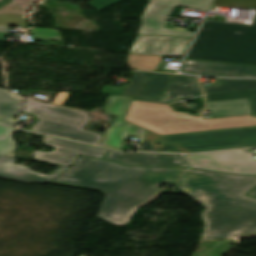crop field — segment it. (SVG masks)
<instances>
[{"label":"crop field","mask_w":256,"mask_h":256,"mask_svg":"<svg viewBox=\"0 0 256 256\" xmlns=\"http://www.w3.org/2000/svg\"><path fill=\"white\" fill-rule=\"evenodd\" d=\"M207 101L250 97L253 116L256 117V90L205 95Z\"/></svg>","instance_id":"obj_24"},{"label":"crop field","mask_w":256,"mask_h":256,"mask_svg":"<svg viewBox=\"0 0 256 256\" xmlns=\"http://www.w3.org/2000/svg\"><path fill=\"white\" fill-rule=\"evenodd\" d=\"M213 6L256 8V0H216Z\"/></svg>","instance_id":"obj_25"},{"label":"crop field","mask_w":256,"mask_h":256,"mask_svg":"<svg viewBox=\"0 0 256 256\" xmlns=\"http://www.w3.org/2000/svg\"><path fill=\"white\" fill-rule=\"evenodd\" d=\"M202 91L196 77L173 75L162 98L134 97L136 100L169 103L179 99L201 95Z\"/></svg>","instance_id":"obj_15"},{"label":"crop field","mask_w":256,"mask_h":256,"mask_svg":"<svg viewBox=\"0 0 256 256\" xmlns=\"http://www.w3.org/2000/svg\"><path fill=\"white\" fill-rule=\"evenodd\" d=\"M189 114L173 111L168 104L133 100L125 120L160 135L256 126L252 115L201 120Z\"/></svg>","instance_id":"obj_3"},{"label":"crop field","mask_w":256,"mask_h":256,"mask_svg":"<svg viewBox=\"0 0 256 256\" xmlns=\"http://www.w3.org/2000/svg\"><path fill=\"white\" fill-rule=\"evenodd\" d=\"M0 31H8V26H0Z\"/></svg>","instance_id":"obj_33"},{"label":"crop field","mask_w":256,"mask_h":256,"mask_svg":"<svg viewBox=\"0 0 256 256\" xmlns=\"http://www.w3.org/2000/svg\"><path fill=\"white\" fill-rule=\"evenodd\" d=\"M240 145L256 147V127L168 136L146 130L141 151L201 152L231 149Z\"/></svg>","instance_id":"obj_4"},{"label":"crop field","mask_w":256,"mask_h":256,"mask_svg":"<svg viewBox=\"0 0 256 256\" xmlns=\"http://www.w3.org/2000/svg\"><path fill=\"white\" fill-rule=\"evenodd\" d=\"M23 132L31 135H38V136H43L19 129H12L9 127L1 126L0 125V155L6 156L8 151H15L17 148V144L12 138L13 132Z\"/></svg>","instance_id":"obj_23"},{"label":"crop field","mask_w":256,"mask_h":256,"mask_svg":"<svg viewBox=\"0 0 256 256\" xmlns=\"http://www.w3.org/2000/svg\"><path fill=\"white\" fill-rule=\"evenodd\" d=\"M43 143L55 147L53 152L35 151L34 158L41 162L70 166L79 155L102 158L106 149L82 145L50 136H46Z\"/></svg>","instance_id":"obj_10"},{"label":"crop field","mask_w":256,"mask_h":256,"mask_svg":"<svg viewBox=\"0 0 256 256\" xmlns=\"http://www.w3.org/2000/svg\"><path fill=\"white\" fill-rule=\"evenodd\" d=\"M132 98L133 97L127 96H109L103 108V112L124 118ZM145 130L146 129L140 128L123 120L116 134H106L102 143L100 142V146L121 150L124 145L123 142L128 138V136L143 139Z\"/></svg>","instance_id":"obj_11"},{"label":"crop field","mask_w":256,"mask_h":256,"mask_svg":"<svg viewBox=\"0 0 256 256\" xmlns=\"http://www.w3.org/2000/svg\"><path fill=\"white\" fill-rule=\"evenodd\" d=\"M21 99L5 89H0V124L13 127V117L19 115Z\"/></svg>","instance_id":"obj_20"},{"label":"crop field","mask_w":256,"mask_h":256,"mask_svg":"<svg viewBox=\"0 0 256 256\" xmlns=\"http://www.w3.org/2000/svg\"><path fill=\"white\" fill-rule=\"evenodd\" d=\"M14 158L0 156V178L23 182H50L54 177L66 170L68 167L61 166L49 176L31 171L26 166L13 164Z\"/></svg>","instance_id":"obj_16"},{"label":"crop field","mask_w":256,"mask_h":256,"mask_svg":"<svg viewBox=\"0 0 256 256\" xmlns=\"http://www.w3.org/2000/svg\"><path fill=\"white\" fill-rule=\"evenodd\" d=\"M205 94L256 89V80L216 79V85L204 86Z\"/></svg>","instance_id":"obj_21"},{"label":"crop field","mask_w":256,"mask_h":256,"mask_svg":"<svg viewBox=\"0 0 256 256\" xmlns=\"http://www.w3.org/2000/svg\"><path fill=\"white\" fill-rule=\"evenodd\" d=\"M113 161L122 165L188 167L181 155L118 152Z\"/></svg>","instance_id":"obj_17"},{"label":"crop field","mask_w":256,"mask_h":256,"mask_svg":"<svg viewBox=\"0 0 256 256\" xmlns=\"http://www.w3.org/2000/svg\"><path fill=\"white\" fill-rule=\"evenodd\" d=\"M201 241L256 235V199L242 196L202 212Z\"/></svg>","instance_id":"obj_6"},{"label":"crop field","mask_w":256,"mask_h":256,"mask_svg":"<svg viewBox=\"0 0 256 256\" xmlns=\"http://www.w3.org/2000/svg\"><path fill=\"white\" fill-rule=\"evenodd\" d=\"M69 95L70 93H67V92H59L55 100L53 101V103L63 105V103L65 102V100L68 98Z\"/></svg>","instance_id":"obj_28"},{"label":"crop field","mask_w":256,"mask_h":256,"mask_svg":"<svg viewBox=\"0 0 256 256\" xmlns=\"http://www.w3.org/2000/svg\"><path fill=\"white\" fill-rule=\"evenodd\" d=\"M177 185L208 209L246 194L256 177L191 170Z\"/></svg>","instance_id":"obj_5"},{"label":"crop field","mask_w":256,"mask_h":256,"mask_svg":"<svg viewBox=\"0 0 256 256\" xmlns=\"http://www.w3.org/2000/svg\"><path fill=\"white\" fill-rule=\"evenodd\" d=\"M119 1H122V0H92L87 4L92 6L93 8H95L97 10H101V9H103L105 7H108L112 4H115Z\"/></svg>","instance_id":"obj_27"},{"label":"crop field","mask_w":256,"mask_h":256,"mask_svg":"<svg viewBox=\"0 0 256 256\" xmlns=\"http://www.w3.org/2000/svg\"><path fill=\"white\" fill-rule=\"evenodd\" d=\"M11 0H0V7L9 3Z\"/></svg>","instance_id":"obj_31"},{"label":"crop field","mask_w":256,"mask_h":256,"mask_svg":"<svg viewBox=\"0 0 256 256\" xmlns=\"http://www.w3.org/2000/svg\"><path fill=\"white\" fill-rule=\"evenodd\" d=\"M172 75L134 72L123 95L161 97Z\"/></svg>","instance_id":"obj_14"},{"label":"crop field","mask_w":256,"mask_h":256,"mask_svg":"<svg viewBox=\"0 0 256 256\" xmlns=\"http://www.w3.org/2000/svg\"><path fill=\"white\" fill-rule=\"evenodd\" d=\"M6 35H7V33L0 32V40H4Z\"/></svg>","instance_id":"obj_34"},{"label":"crop field","mask_w":256,"mask_h":256,"mask_svg":"<svg viewBox=\"0 0 256 256\" xmlns=\"http://www.w3.org/2000/svg\"><path fill=\"white\" fill-rule=\"evenodd\" d=\"M187 57L256 66V17L252 25L205 21Z\"/></svg>","instance_id":"obj_2"},{"label":"crop field","mask_w":256,"mask_h":256,"mask_svg":"<svg viewBox=\"0 0 256 256\" xmlns=\"http://www.w3.org/2000/svg\"><path fill=\"white\" fill-rule=\"evenodd\" d=\"M206 110L212 111V118L252 114L249 98L207 102Z\"/></svg>","instance_id":"obj_19"},{"label":"crop field","mask_w":256,"mask_h":256,"mask_svg":"<svg viewBox=\"0 0 256 256\" xmlns=\"http://www.w3.org/2000/svg\"><path fill=\"white\" fill-rule=\"evenodd\" d=\"M161 59V56L129 53L127 64H129L132 69L154 71L158 67Z\"/></svg>","instance_id":"obj_22"},{"label":"crop field","mask_w":256,"mask_h":256,"mask_svg":"<svg viewBox=\"0 0 256 256\" xmlns=\"http://www.w3.org/2000/svg\"><path fill=\"white\" fill-rule=\"evenodd\" d=\"M116 154H117V152H115V151H110L109 154L106 156L105 159L113 160V158L115 157Z\"/></svg>","instance_id":"obj_30"},{"label":"crop field","mask_w":256,"mask_h":256,"mask_svg":"<svg viewBox=\"0 0 256 256\" xmlns=\"http://www.w3.org/2000/svg\"><path fill=\"white\" fill-rule=\"evenodd\" d=\"M249 196H253L256 197V189H254L253 191H251L250 193H248Z\"/></svg>","instance_id":"obj_32"},{"label":"crop field","mask_w":256,"mask_h":256,"mask_svg":"<svg viewBox=\"0 0 256 256\" xmlns=\"http://www.w3.org/2000/svg\"><path fill=\"white\" fill-rule=\"evenodd\" d=\"M25 113L34 114L39 121L32 131L69 138L77 141L98 145L102 136L93 132L81 130L90 119L80 111L46 104L27 98Z\"/></svg>","instance_id":"obj_7"},{"label":"crop field","mask_w":256,"mask_h":256,"mask_svg":"<svg viewBox=\"0 0 256 256\" xmlns=\"http://www.w3.org/2000/svg\"><path fill=\"white\" fill-rule=\"evenodd\" d=\"M253 153L242 150L186 155L192 168L256 176Z\"/></svg>","instance_id":"obj_9"},{"label":"crop field","mask_w":256,"mask_h":256,"mask_svg":"<svg viewBox=\"0 0 256 256\" xmlns=\"http://www.w3.org/2000/svg\"><path fill=\"white\" fill-rule=\"evenodd\" d=\"M121 121H122L121 118L116 117V119L113 121V123L109 127L107 133L115 134V132H116L117 128L119 127Z\"/></svg>","instance_id":"obj_29"},{"label":"crop field","mask_w":256,"mask_h":256,"mask_svg":"<svg viewBox=\"0 0 256 256\" xmlns=\"http://www.w3.org/2000/svg\"><path fill=\"white\" fill-rule=\"evenodd\" d=\"M77 160V159H76ZM184 168L125 167L115 162L81 156L55 184L96 190L106 195L98 217L115 225H128L135 210L161 193L157 186L174 183Z\"/></svg>","instance_id":"obj_1"},{"label":"crop field","mask_w":256,"mask_h":256,"mask_svg":"<svg viewBox=\"0 0 256 256\" xmlns=\"http://www.w3.org/2000/svg\"><path fill=\"white\" fill-rule=\"evenodd\" d=\"M212 0H151L142 16L138 34L192 37V32L164 28L176 5L207 11Z\"/></svg>","instance_id":"obj_8"},{"label":"crop field","mask_w":256,"mask_h":256,"mask_svg":"<svg viewBox=\"0 0 256 256\" xmlns=\"http://www.w3.org/2000/svg\"><path fill=\"white\" fill-rule=\"evenodd\" d=\"M190 38L138 35L129 52L182 56Z\"/></svg>","instance_id":"obj_12"},{"label":"crop field","mask_w":256,"mask_h":256,"mask_svg":"<svg viewBox=\"0 0 256 256\" xmlns=\"http://www.w3.org/2000/svg\"><path fill=\"white\" fill-rule=\"evenodd\" d=\"M37 0H13L0 9V25L26 26L27 14Z\"/></svg>","instance_id":"obj_18"},{"label":"crop field","mask_w":256,"mask_h":256,"mask_svg":"<svg viewBox=\"0 0 256 256\" xmlns=\"http://www.w3.org/2000/svg\"><path fill=\"white\" fill-rule=\"evenodd\" d=\"M180 70L183 73H193L198 75L206 74L207 76L256 77L255 66L196 60H185Z\"/></svg>","instance_id":"obj_13"},{"label":"crop field","mask_w":256,"mask_h":256,"mask_svg":"<svg viewBox=\"0 0 256 256\" xmlns=\"http://www.w3.org/2000/svg\"><path fill=\"white\" fill-rule=\"evenodd\" d=\"M31 33L34 35V38L63 40L62 37L59 35L58 31L52 29L32 28Z\"/></svg>","instance_id":"obj_26"}]
</instances>
